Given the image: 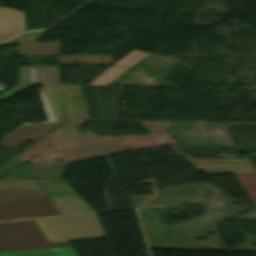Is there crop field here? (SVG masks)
I'll use <instances>...</instances> for the list:
<instances>
[{
  "label": "crop field",
  "mask_w": 256,
  "mask_h": 256,
  "mask_svg": "<svg viewBox=\"0 0 256 256\" xmlns=\"http://www.w3.org/2000/svg\"><path fill=\"white\" fill-rule=\"evenodd\" d=\"M25 30L24 13L9 7H0V40Z\"/></svg>",
  "instance_id": "obj_9"
},
{
  "label": "crop field",
  "mask_w": 256,
  "mask_h": 256,
  "mask_svg": "<svg viewBox=\"0 0 256 256\" xmlns=\"http://www.w3.org/2000/svg\"><path fill=\"white\" fill-rule=\"evenodd\" d=\"M64 122L23 124L0 140V146L16 149L29 139L38 141Z\"/></svg>",
  "instance_id": "obj_6"
},
{
  "label": "crop field",
  "mask_w": 256,
  "mask_h": 256,
  "mask_svg": "<svg viewBox=\"0 0 256 256\" xmlns=\"http://www.w3.org/2000/svg\"><path fill=\"white\" fill-rule=\"evenodd\" d=\"M47 196L36 180H0V200Z\"/></svg>",
  "instance_id": "obj_7"
},
{
  "label": "crop field",
  "mask_w": 256,
  "mask_h": 256,
  "mask_svg": "<svg viewBox=\"0 0 256 256\" xmlns=\"http://www.w3.org/2000/svg\"><path fill=\"white\" fill-rule=\"evenodd\" d=\"M145 55L146 53L141 51H132L127 56H125L121 61H119L116 65H114L112 68H110L105 73L96 78L89 85H106L115 77H117L122 72L131 67L133 64H135L139 59H141Z\"/></svg>",
  "instance_id": "obj_10"
},
{
  "label": "crop field",
  "mask_w": 256,
  "mask_h": 256,
  "mask_svg": "<svg viewBox=\"0 0 256 256\" xmlns=\"http://www.w3.org/2000/svg\"><path fill=\"white\" fill-rule=\"evenodd\" d=\"M57 214L50 198L0 202V221Z\"/></svg>",
  "instance_id": "obj_5"
},
{
  "label": "crop field",
  "mask_w": 256,
  "mask_h": 256,
  "mask_svg": "<svg viewBox=\"0 0 256 256\" xmlns=\"http://www.w3.org/2000/svg\"><path fill=\"white\" fill-rule=\"evenodd\" d=\"M49 197L77 195L63 179L37 180Z\"/></svg>",
  "instance_id": "obj_12"
},
{
  "label": "crop field",
  "mask_w": 256,
  "mask_h": 256,
  "mask_svg": "<svg viewBox=\"0 0 256 256\" xmlns=\"http://www.w3.org/2000/svg\"><path fill=\"white\" fill-rule=\"evenodd\" d=\"M23 36L24 34L18 36L17 38L9 41V42H6V43H0V46L2 45H14V44H18L20 45V50H21V55H32V49L29 45L28 42H26L24 39H23Z\"/></svg>",
  "instance_id": "obj_14"
},
{
  "label": "crop field",
  "mask_w": 256,
  "mask_h": 256,
  "mask_svg": "<svg viewBox=\"0 0 256 256\" xmlns=\"http://www.w3.org/2000/svg\"><path fill=\"white\" fill-rule=\"evenodd\" d=\"M39 89L48 121L90 119L80 87L42 85Z\"/></svg>",
  "instance_id": "obj_3"
},
{
  "label": "crop field",
  "mask_w": 256,
  "mask_h": 256,
  "mask_svg": "<svg viewBox=\"0 0 256 256\" xmlns=\"http://www.w3.org/2000/svg\"><path fill=\"white\" fill-rule=\"evenodd\" d=\"M0 256H77L68 242L48 244L32 220L0 223Z\"/></svg>",
  "instance_id": "obj_1"
},
{
  "label": "crop field",
  "mask_w": 256,
  "mask_h": 256,
  "mask_svg": "<svg viewBox=\"0 0 256 256\" xmlns=\"http://www.w3.org/2000/svg\"><path fill=\"white\" fill-rule=\"evenodd\" d=\"M51 200L61 214L92 211L79 196L56 197Z\"/></svg>",
  "instance_id": "obj_11"
},
{
  "label": "crop field",
  "mask_w": 256,
  "mask_h": 256,
  "mask_svg": "<svg viewBox=\"0 0 256 256\" xmlns=\"http://www.w3.org/2000/svg\"><path fill=\"white\" fill-rule=\"evenodd\" d=\"M49 243L106 237L95 213L34 219Z\"/></svg>",
  "instance_id": "obj_2"
},
{
  "label": "crop field",
  "mask_w": 256,
  "mask_h": 256,
  "mask_svg": "<svg viewBox=\"0 0 256 256\" xmlns=\"http://www.w3.org/2000/svg\"><path fill=\"white\" fill-rule=\"evenodd\" d=\"M182 156L192 162L195 168H206L208 173L234 172L253 204L256 205V169L250 159H193L187 154Z\"/></svg>",
  "instance_id": "obj_4"
},
{
  "label": "crop field",
  "mask_w": 256,
  "mask_h": 256,
  "mask_svg": "<svg viewBox=\"0 0 256 256\" xmlns=\"http://www.w3.org/2000/svg\"><path fill=\"white\" fill-rule=\"evenodd\" d=\"M31 85H19L13 89H11L10 91L6 92L5 94L0 96V100L2 99H9L10 97L20 93L21 91L25 90L26 88H28Z\"/></svg>",
  "instance_id": "obj_15"
},
{
  "label": "crop field",
  "mask_w": 256,
  "mask_h": 256,
  "mask_svg": "<svg viewBox=\"0 0 256 256\" xmlns=\"http://www.w3.org/2000/svg\"><path fill=\"white\" fill-rule=\"evenodd\" d=\"M19 82L58 84V66H22Z\"/></svg>",
  "instance_id": "obj_8"
},
{
  "label": "crop field",
  "mask_w": 256,
  "mask_h": 256,
  "mask_svg": "<svg viewBox=\"0 0 256 256\" xmlns=\"http://www.w3.org/2000/svg\"><path fill=\"white\" fill-rule=\"evenodd\" d=\"M43 32H30L26 34V39L31 43L35 49L34 55H59V43H36V41L45 33Z\"/></svg>",
  "instance_id": "obj_13"
}]
</instances>
